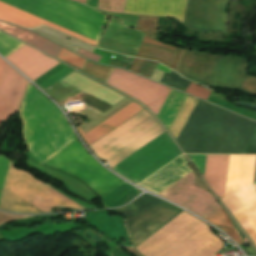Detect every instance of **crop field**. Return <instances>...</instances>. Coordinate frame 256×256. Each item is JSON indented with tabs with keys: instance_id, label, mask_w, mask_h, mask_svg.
I'll list each match as a JSON object with an SVG mask.
<instances>
[{
	"instance_id": "dafd665d",
	"label": "crop field",
	"mask_w": 256,
	"mask_h": 256,
	"mask_svg": "<svg viewBox=\"0 0 256 256\" xmlns=\"http://www.w3.org/2000/svg\"><path fill=\"white\" fill-rule=\"evenodd\" d=\"M0 29L16 36L20 40L54 56L57 58L62 47L48 41L47 39L22 28H18L3 22H0Z\"/></svg>"
},
{
	"instance_id": "425ffa30",
	"label": "crop field",
	"mask_w": 256,
	"mask_h": 256,
	"mask_svg": "<svg viewBox=\"0 0 256 256\" xmlns=\"http://www.w3.org/2000/svg\"><path fill=\"white\" fill-rule=\"evenodd\" d=\"M77 1L85 4L86 0H77Z\"/></svg>"
},
{
	"instance_id": "028f5c9d",
	"label": "crop field",
	"mask_w": 256,
	"mask_h": 256,
	"mask_svg": "<svg viewBox=\"0 0 256 256\" xmlns=\"http://www.w3.org/2000/svg\"><path fill=\"white\" fill-rule=\"evenodd\" d=\"M8 161H9V159H7L3 156H0V193H1L2 185H3Z\"/></svg>"
},
{
	"instance_id": "5866460e",
	"label": "crop field",
	"mask_w": 256,
	"mask_h": 256,
	"mask_svg": "<svg viewBox=\"0 0 256 256\" xmlns=\"http://www.w3.org/2000/svg\"><path fill=\"white\" fill-rule=\"evenodd\" d=\"M205 158L206 155H194L192 160L190 159L202 175L204 174Z\"/></svg>"
},
{
	"instance_id": "22f410ed",
	"label": "crop field",
	"mask_w": 256,
	"mask_h": 256,
	"mask_svg": "<svg viewBox=\"0 0 256 256\" xmlns=\"http://www.w3.org/2000/svg\"><path fill=\"white\" fill-rule=\"evenodd\" d=\"M228 1L187 0L183 24L202 31H224Z\"/></svg>"
},
{
	"instance_id": "8a807250",
	"label": "crop field",
	"mask_w": 256,
	"mask_h": 256,
	"mask_svg": "<svg viewBox=\"0 0 256 256\" xmlns=\"http://www.w3.org/2000/svg\"><path fill=\"white\" fill-rule=\"evenodd\" d=\"M256 122L198 100L177 143L186 153L242 154Z\"/></svg>"
},
{
	"instance_id": "d1516ede",
	"label": "crop field",
	"mask_w": 256,
	"mask_h": 256,
	"mask_svg": "<svg viewBox=\"0 0 256 256\" xmlns=\"http://www.w3.org/2000/svg\"><path fill=\"white\" fill-rule=\"evenodd\" d=\"M106 83L141 101L155 115L170 91L168 87L116 68H113Z\"/></svg>"
},
{
	"instance_id": "cbeb9de0",
	"label": "crop field",
	"mask_w": 256,
	"mask_h": 256,
	"mask_svg": "<svg viewBox=\"0 0 256 256\" xmlns=\"http://www.w3.org/2000/svg\"><path fill=\"white\" fill-rule=\"evenodd\" d=\"M27 81L5 64L0 80V121H9L21 101Z\"/></svg>"
},
{
	"instance_id": "d3111659",
	"label": "crop field",
	"mask_w": 256,
	"mask_h": 256,
	"mask_svg": "<svg viewBox=\"0 0 256 256\" xmlns=\"http://www.w3.org/2000/svg\"><path fill=\"white\" fill-rule=\"evenodd\" d=\"M22 43L0 33V54L4 57L21 47Z\"/></svg>"
},
{
	"instance_id": "214f88e0",
	"label": "crop field",
	"mask_w": 256,
	"mask_h": 256,
	"mask_svg": "<svg viewBox=\"0 0 256 256\" xmlns=\"http://www.w3.org/2000/svg\"><path fill=\"white\" fill-rule=\"evenodd\" d=\"M229 155H207L204 178L220 198L223 197Z\"/></svg>"
},
{
	"instance_id": "d9b57169",
	"label": "crop field",
	"mask_w": 256,
	"mask_h": 256,
	"mask_svg": "<svg viewBox=\"0 0 256 256\" xmlns=\"http://www.w3.org/2000/svg\"><path fill=\"white\" fill-rule=\"evenodd\" d=\"M186 0H126L124 13L171 16L182 22Z\"/></svg>"
},
{
	"instance_id": "25e5ab78",
	"label": "crop field",
	"mask_w": 256,
	"mask_h": 256,
	"mask_svg": "<svg viewBox=\"0 0 256 256\" xmlns=\"http://www.w3.org/2000/svg\"><path fill=\"white\" fill-rule=\"evenodd\" d=\"M76 1V0H75Z\"/></svg>"
},
{
	"instance_id": "750c4746",
	"label": "crop field",
	"mask_w": 256,
	"mask_h": 256,
	"mask_svg": "<svg viewBox=\"0 0 256 256\" xmlns=\"http://www.w3.org/2000/svg\"><path fill=\"white\" fill-rule=\"evenodd\" d=\"M125 0H99L98 8L109 12L123 13Z\"/></svg>"
},
{
	"instance_id": "ae1a2a85",
	"label": "crop field",
	"mask_w": 256,
	"mask_h": 256,
	"mask_svg": "<svg viewBox=\"0 0 256 256\" xmlns=\"http://www.w3.org/2000/svg\"><path fill=\"white\" fill-rule=\"evenodd\" d=\"M132 188L134 187L124 182L119 187H117L114 191H112L109 195H107L105 198L102 199L103 205L106 207H109L118 199H120L123 195L129 192Z\"/></svg>"
},
{
	"instance_id": "e1f06a70",
	"label": "crop field",
	"mask_w": 256,
	"mask_h": 256,
	"mask_svg": "<svg viewBox=\"0 0 256 256\" xmlns=\"http://www.w3.org/2000/svg\"><path fill=\"white\" fill-rule=\"evenodd\" d=\"M64 65L62 64H57L55 67H53L52 69H50L49 71H47L45 74H43L42 76H40L39 78H37L35 81V83H40L41 81H43L44 79H46L47 77H49L51 74H53L54 72H56L57 70H59L60 68H62ZM55 74V73H54Z\"/></svg>"
},
{
	"instance_id": "d23c7cc5",
	"label": "crop field",
	"mask_w": 256,
	"mask_h": 256,
	"mask_svg": "<svg viewBox=\"0 0 256 256\" xmlns=\"http://www.w3.org/2000/svg\"><path fill=\"white\" fill-rule=\"evenodd\" d=\"M233 222V221H232ZM234 224V223H233ZM235 225V224H234ZM235 227L237 228V230L240 232V234L242 235V238L244 239V238H246L245 236H244V234L238 229V227L235 225Z\"/></svg>"
},
{
	"instance_id": "d32e631a",
	"label": "crop field",
	"mask_w": 256,
	"mask_h": 256,
	"mask_svg": "<svg viewBox=\"0 0 256 256\" xmlns=\"http://www.w3.org/2000/svg\"><path fill=\"white\" fill-rule=\"evenodd\" d=\"M84 100L87 104H89V105H91V106H93V107H95V108H97V109H99L103 112L105 110H107L109 107H111V105H109V104H107V103H105V102H103V101H101V100H99V99H97V98H95L91 95L86 96L84 98Z\"/></svg>"
},
{
	"instance_id": "00972430",
	"label": "crop field",
	"mask_w": 256,
	"mask_h": 256,
	"mask_svg": "<svg viewBox=\"0 0 256 256\" xmlns=\"http://www.w3.org/2000/svg\"><path fill=\"white\" fill-rule=\"evenodd\" d=\"M197 99L187 96L185 102L183 103L181 109L179 110L177 116L175 117L173 123L169 128L170 134L176 140L179 132L181 131L183 125L185 124L188 116L190 115L192 109L194 108Z\"/></svg>"
},
{
	"instance_id": "b80d0937",
	"label": "crop field",
	"mask_w": 256,
	"mask_h": 256,
	"mask_svg": "<svg viewBox=\"0 0 256 256\" xmlns=\"http://www.w3.org/2000/svg\"><path fill=\"white\" fill-rule=\"evenodd\" d=\"M143 60L142 59H138L136 58L134 63L132 64L131 68H130V71H133L135 73H137L139 67L141 66Z\"/></svg>"
},
{
	"instance_id": "eef30255",
	"label": "crop field",
	"mask_w": 256,
	"mask_h": 256,
	"mask_svg": "<svg viewBox=\"0 0 256 256\" xmlns=\"http://www.w3.org/2000/svg\"><path fill=\"white\" fill-rule=\"evenodd\" d=\"M158 17H145L140 16L136 29H139L146 34L155 37L157 30Z\"/></svg>"
},
{
	"instance_id": "bd1437ed",
	"label": "crop field",
	"mask_w": 256,
	"mask_h": 256,
	"mask_svg": "<svg viewBox=\"0 0 256 256\" xmlns=\"http://www.w3.org/2000/svg\"><path fill=\"white\" fill-rule=\"evenodd\" d=\"M58 59L60 60H63L67 63H70L78 68H82V66L84 65L85 63V60L78 57L77 55L73 54L72 52L62 48L59 56H58Z\"/></svg>"
},
{
	"instance_id": "4a817a6b",
	"label": "crop field",
	"mask_w": 256,
	"mask_h": 256,
	"mask_svg": "<svg viewBox=\"0 0 256 256\" xmlns=\"http://www.w3.org/2000/svg\"><path fill=\"white\" fill-rule=\"evenodd\" d=\"M0 20L5 21V22H9V23H12V24H15V25H18V26H22V27H25V28H31V27H34V26H37V25L45 24V25H47L51 28H54V29L59 30L63 33L71 35V36H73V37H75V38H77V39H79V40H81V41H83L87 44H90L94 47L97 44L96 43L97 41L96 42L91 41L92 39L89 40L87 38L79 36L80 34L79 35L74 34L75 32L72 33L70 31L62 29L63 27L60 28L58 26H55V25L50 24L48 22H45L46 20L43 21L41 19H38V18L33 17L31 15H28L24 12L16 10V9H14L12 7H9L7 5H4L2 3H0Z\"/></svg>"
},
{
	"instance_id": "120bbe31",
	"label": "crop field",
	"mask_w": 256,
	"mask_h": 256,
	"mask_svg": "<svg viewBox=\"0 0 256 256\" xmlns=\"http://www.w3.org/2000/svg\"><path fill=\"white\" fill-rule=\"evenodd\" d=\"M185 93H188L190 95L206 100L207 97L210 95L211 90L199 87L198 85L190 82L187 89L185 90Z\"/></svg>"
},
{
	"instance_id": "92a150f3",
	"label": "crop field",
	"mask_w": 256,
	"mask_h": 256,
	"mask_svg": "<svg viewBox=\"0 0 256 256\" xmlns=\"http://www.w3.org/2000/svg\"><path fill=\"white\" fill-rule=\"evenodd\" d=\"M144 41H148V42H152V43H155L157 45H160L162 47H165V48H169V49H172V50H176L179 49L178 52L176 51H172V50H169V49H165V48H162L160 46H157L155 44H152V43H148V42H142L141 44V47L138 51V54L136 57H139V58H145V59H151V60H156L170 68H174L175 66V63H176V60L178 58V55H179V52H180V48H177V49H174V48H171V47H168V46H165V45H162L154 40H152L151 38L147 37V36H144Z\"/></svg>"
},
{
	"instance_id": "0bd39190",
	"label": "crop field",
	"mask_w": 256,
	"mask_h": 256,
	"mask_svg": "<svg viewBox=\"0 0 256 256\" xmlns=\"http://www.w3.org/2000/svg\"><path fill=\"white\" fill-rule=\"evenodd\" d=\"M77 53L80 54L81 56L85 57V58H88V59L94 60V61H99L100 58H101L100 56H97L95 54L89 53V52L84 51L82 49H78Z\"/></svg>"
},
{
	"instance_id": "5d738f31",
	"label": "crop field",
	"mask_w": 256,
	"mask_h": 256,
	"mask_svg": "<svg viewBox=\"0 0 256 256\" xmlns=\"http://www.w3.org/2000/svg\"><path fill=\"white\" fill-rule=\"evenodd\" d=\"M126 248V247H125ZM127 250H129L133 255L135 256H141L139 253H137L135 250L130 249V248H126Z\"/></svg>"
},
{
	"instance_id": "412701ff",
	"label": "crop field",
	"mask_w": 256,
	"mask_h": 256,
	"mask_svg": "<svg viewBox=\"0 0 256 256\" xmlns=\"http://www.w3.org/2000/svg\"><path fill=\"white\" fill-rule=\"evenodd\" d=\"M247 59L182 49L174 70L184 77L220 89L256 95V77L245 75Z\"/></svg>"
},
{
	"instance_id": "3316defc",
	"label": "crop field",
	"mask_w": 256,
	"mask_h": 256,
	"mask_svg": "<svg viewBox=\"0 0 256 256\" xmlns=\"http://www.w3.org/2000/svg\"><path fill=\"white\" fill-rule=\"evenodd\" d=\"M178 155L165 132L112 169L138 183Z\"/></svg>"
},
{
	"instance_id": "b54c1fbb",
	"label": "crop field",
	"mask_w": 256,
	"mask_h": 256,
	"mask_svg": "<svg viewBox=\"0 0 256 256\" xmlns=\"http://www.w3.org/2000/svg\"><path fill=\"white\" fill-rule=\"evenodd\" d=\"M4 64H5V62L2 59H0V77H1V73L3 70Z\"/></svg>"
},
{
	"instance_id": "bc2a9ffb",
	"label": "crop field",
	"mask_w": 256,
	"mask_h": 256,
	"mask_svg": "<svg viewBox=\"0 0 256 256\" xmlns=\"http://www.w3.org/2000/svg\"><path fill=\"white\" fill-rule=\"evenodd\" d=\"M141 109L143 108L132 102L85 134L83 133L80 126L76 128L84 141L89 146L96 140L107 134L109 131L123 123L125 120L136 114Z\"/></svg>"
},
{
	"instance_id": "5a996713",
	"label": "crop field",
	"mask_w": 256,
	"mask_h": 256,
	"mask_svg": "<svg viewBox=\"0 0 256 256\" xmlns=\"http://www.w3.org/2000/svg\"><path fill=\"white\" fill-rule=\"evenodd\" d=\"M113 210L123 213L126 217L134 248L183 211L148 194L120 209Z\"/></svg>"
},
{
	"instance_id": "dd49c442",
	"label": "crop field",
	"mask_w": 256,
	"mask_h": 256,
	"mask_svg": "<svg viewBox=\"0 0 256 256\" xmlns=\"http://www.w3.org/2000/svg\"><path fill=\"white\" fill-rule=\"evenodd\" d=\"M0 2L98 41L107 17L71 0H0Z\"/></svg>"
},
{
	"instance_id": "733c2abd",
	"label": "crop field",
	"mask_w": 256,
	"mask_h": 256,
	"mask_svg": "<svg viewBox=\"0 0 256 256\" xmlns=\"http://www.w3.org/2000/svg\"><path fill=\"white\" fill-rule=\"evenodd\" d=\"M189 171L191 170L187 167V161L181 155L139 185L157 194Z\"/></svg>"
},
{
	"instance_id": "1d83c4d3",
	"label": "crop field",
	"mask_w": 256,
	"mask_h": 256,
	"mask_svg": "<svg viewBox=\"0 0 256 256\" xmlns=\"http://www.w3.org/2000/svg\"><path fill=\"white\" fill-rule=\"evenodd\" d=\"M72 70L74 69L65 66L38 85L41 86L43 89H46L49 86H51L53 83H55L56 81H58L59 79L67 75Z\"/></svg>"
},
{
	"instance_id": "34b2d1b8",
	"label": "crop field",
	"mask_w": 256,
	"mask_h": 256,
	"mask_svg": "<svg viewBox=\"0 0 256 256\" xmlns=\"http://www.w3.org/2000/svg\"><path fill=\"white\" fill-rule=\"evenodd\" d=\"M222 248L206 224L183 211L135 249L143 256H214Z\"/></svg>"
},
{
	"instance_id": "4177f3b9",
	"label": "crop field",
	"mask_w": 256,
	"mask_h": 256,
	"mask_svg": "<svg viewBox=\"0 0 256 256\" xmlns=\"http://www.w3.org/2000/svg\"><path fill=\"white\" fill-rule=\"evenodd\" d=\"M82 70L106 82L112 68L86 61Z\"/></svg>"
},
{
	"instance_id": "e52e79f7",
	"label": "crop field",
	"mask_w": 256,
	"mask_h": 256,
	"mask_svg": "<svg viewBox=\"0 0 256 256\" xmlns=\"http://www.w3.org/2000/svg\"><path fill=\"white\" fill-rule=\"evenodd\" d=\"M256 156L230 155L222 202L256 244V185H252Z\"/></svg>"
},
{
	"instance_id": "f4fd0767",
	"label": "crop field",
	"mask_w": 256,
	"mask_h": 256,
	"mask_svg": "<svg viewBox=\"0 0 256 256\" xmlns=\"http://www.w3.org/2000/svg\"><path fill=\"white\" fill-rule=\"evenodd\" d=\"M3 187L45 213L51 212V207L85 209L76 202L50 188L38 178L25 171L15 170L11 161H9ZM5 188H3L0 198V210L43 213L34 206L30 207L29 203Z\"/></svg>"
},
{
	"instance_id": "c035e120",
	"label": "crop field",
	"mask_w": 256,
	"mask_h": 256,
	"mask_svg": "<svg viewBox=\"0 0 256 256\" xmlns=\"http://www.w3.org/2000/svg\"><path fill=\"white\" fill-rule=\"evenodd\" d=\"M244 251L246 252V254H247L248 256L256 255V253H255V251H254V249H253L252 246H250V247L244 249Z\"/></svg>"
},
{
	"instance_id": "c21b1889",
	"label": "crop field",
	"mask_w": 256,
	"mask_h": 256,
	"mask_svg": "<svg viewBox=\"0 0 256 256\" xmlns=\"http://www.w3.org/2000/svg\"><path fill=\"white\" fill-rule=\"evenodd\" d=\"M86 4L89 5V6H91V7L97 8L98 0H87V1H86Z\"/></svg>"
},
{
	"instance_id": "730fd06b",
	"label": "crop field",
	"mask_w": 256,
	"mask_h": 256,
	"mask_svg": "<svg viewBox=\"0 0 256 256\" xmlns=\"http://www.w3.org/2000/svg\"><path fill=\"white\" fill-rule=\"evenodd\" d=\"M161 83L184 92L187 85L189 84V81L183 79L178 74H176L174 71H171L170 75H168L166 73L164 74V76L161 80Z\"/></svg>"
},
{
	"instance_id": "28ad6ade",
	"label": "crop field",
	"mask_w": 256,
	"mask_h": 256,
	"mask_svg": "<svg viewBox=\"0 0 256 256\" xmlns=\"http://www.w3.org/2000/svg\"><path fill=\"white\" fill-rule=\"evenodd\" d=\"M193 183H195V179L191 171L158 195L190 209L205 219L222 208L215 202L211 194L193 186Z\"/></svg>"
},
{
	"instance_id": "ac0d7876",
	"label": "crop field",
	"mask_w": 256,
	"mask_h": 256,
	"mask_svg": "<svg viewBox=\"0 0 256 256\" xmlns=\"http://www.w3.org/2000/svg\"><path fill=\"white\" fill-rule=\"evenodd\" d=\"M19 112L30 157L42 164L76 138L64 115L30 84Z\"/></svg>"
},
{
	"instance_id": "d8731c3e",
	"label": "crop field",
	"mask_w": 256,
	"mask_h": 256,
	"mask_svg": "<svg viewBox=\"0 0 256 256\" xmlns=\"http://www.w3.org/2000/svg\"><path fill=\"white\" fill-rule=\"evenodd\" d=\"M44 165L81 179L101 199L124 181L102 168L81 146L77 138L49 159Z\"/></svg>"
},
{
	"instance_id": "5142ce71",
	"label": "crop field",
	"mask_w": 256,
	"mask_h": 256,
	"mask_svg": "<svg viewBox=\"0 0 256 256\" xmlns=\"http://www.w3.org/2000/svg\"><path fill=\"white\" fill-rule=\"evenodd\" d=\"M5 58L20 69L32 81L59 63L26 45Z\"/></svg>"
},
{
	"instance_id": "03da06ac",
	"label": "crop field",
	"mask_w": 256,
	"mask_h": 256,
	"mask_svg": "<svg viewBox=\"0 0 256 256\" xmlns=\"http://www.w3.org/2000/svg\"><path fill=\"white\" fill-rule=\"evenodd\" d=\"M157 69L162 70V71H164L166 73H170V71H171V69H169V68H167V67H165V66H163L161 64H158Z\"/></svg>"
},
{
	"instance_id": "a9b5d70f",
	"label": "crop field",
	"mask_w": 256,
	"mask_h": 256,
	"mask_svg": "<svg viewBox=\"0 0 256 256\" xmlns=\"http://www.w3.org/2000/svg\"><path fill=\"white\" fill-rule=\"evenodd\" d=\"M207 220L211 221L215 226L223 229L230 236V238L234 240L238 245L243 244L240 235L237 233V231L231 224L230 219L224 212L223 208L220 209L215 214H213L212 216H210Z\"/></svg>"
}]
</instances>
